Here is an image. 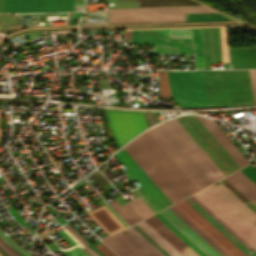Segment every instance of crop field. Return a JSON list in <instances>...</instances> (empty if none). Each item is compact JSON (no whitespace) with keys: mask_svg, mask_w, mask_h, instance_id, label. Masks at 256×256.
<instances>
[{"mask_svg":"<svg viewBox=\"0 0 256 256\" xmlns=\"http://www.w3.org/2000/svg\"><path fill=\"white\" fill-rule=\"evenodd\" d=\"M17 220L18 222L29 232L33 233V229L15 212L14 209L9 211Z\"/></svg>","mask_w":256,"mask_h":256,"instance_id":"crop-field-36","label":"crop field"},{"mask_svg":"<svg viewBox=\"0 0 256 256\" xmlns=\"http://www.w3.org/2000/svg\"><path fill=\"white\" fill-rule=\"evenodd\" d=\"M135 210L136 212L144 219L152 214H154L150 208L143 202V200L138 197L130 202H128Z\"/></svg>","mask_w":256,"mask_h":256,"instance_id":"crop-field-29","label":"crop field"},{"mask_svg":"<svg viewBox=\"0 0 256 256\" xmlns=\"http://www.w3.org/2000/svg\"><path fill=\"white\" fill-rule=\"evenodd\" d=\"M196 69H204L201 28H193Z\"/></svg>","mask_w":256,"mask_h":256,"instance_id":"crop-field-24","label":"crop field"},{"mask_svg":"<svg viewBox=\"0 0 256 256\" xmlns=\"http://www.w3.org/2000/svg\"><path fill=\"white\" fill-rule=\"evenodd\" d=\"M81 25L107 24L106 11L90 13L80 21Z\"/></svg>","mask_w":256,"mask_h":256,"instance_id":"crop-field-28","label":"crop field"},{"mask_svg":"<svg viewBox=\"0 0 256 256\" xmlns=\"http://www.w3.org/2000/svg\"><path fill=\"white\" fill-rule=\"evenodd\" d=\"M143 114L149 126L157 122L154 114H148V113H143Z\"/></svg>","mask_w":256,"mask_h":256,"instance_id":"crop-field-41","label":"crop field"},{"mask_svg":"<svg viewBox=\"0 0 256 256\" xmlns=\"http://www.w3.org/2000/svg\"><path fill=\"white\" fill-rule=\"evenodd\" d=\"M194 200L202 209H204L212 218H214L222 227H224L231 235H233L239 242H241L247 249H252L240 237H238L230 228H228L219 218H217L209 209H207L199 200L193 195L189 196Z\"/></svg>","mask_w":256,"mask_h":256,"instance_id":"crop-field-30","label":"crop field"},{"mask_svg":"<svg viewBox=\"0 0 256 256\" xmlns=\"http://www.w3.org/2000/svg\"><path fill=\"white\" fill-rule=\"evenodd\" d=\"M232 20L218 13L185 14V21Z\"/></svg>","mask_w":256,"mask_h":256,"instance_id":"crop-field-26","label":"crop field"},{"mask_svg":"<svg viewBox=\"0 0 256 256\" xmlns=\"http://www.w3.org/2000/svg\"><path fill=\"white\" fill-rule=\"evenodd\" d=\"M112 208L122 217V219L128 224L132 225L142 218L135 212V210L128 204L120 206L115 199L109 203Z\"/></svg>","mask_w":256,"mask_h":256,"instance_id":"crop-field-23","label":"crop field"},{"mask_svg":"<svg viewBox=\"0 0 256 256\" xmlns=\"http://www.w3.org/2000/svg\"><path fill=\"white\" fill-rule=\"evenodd\" d=\"M0 12H4V0H0Z\"/></svg>","mask_w":256,"mask_h":256,"instance_id":"crop-field-43","label":"crop field"},{"mask_svg":"<svg viewBox=\"0 0 256 256\" xmlns=\"http://www.w3.org/2000/svg\"><path fill=\"white\" fill-rule=\"evenodd\" d=\"M0 237L5 240L11 247L19 251L24 256H31V253L21 248L19 245H17L14 241H12L7 235H5L1 229H0Z\"/></svg>","mask_w":256,"mask_h":256,"instance_id":"crop-field-34","label":"crop field"},{"mask_svg":"<svg viewBox=\"0 0 256 256\" xmlns=\"http://www.w3.org/2000/svg\"><path fill=\"white\" fill-rule=\"evenodd\" d=\"M20 37H22L24 39V41L27 42L26 39L34 37V34L33 33H25V34H21V35L13 37L12 39L8 40L9 43L12 45V47L15 45H18V43L14 39L20 38Z\"/></svg>","mask_w":256,"mask_h":256,"instance_id":"crop-field-38","label":"crop field"},{"mask_svg":"<svg viewBox=\"0 0 256 256\" xmlns=\"http://www.w3.org/2000/svg\"><path fill=\"white\" fill-rule=\"evenodd\" d=\"M224 179L256 206V185L245 175L238 171Z\"/></svg>","mask_w":256,"mask_h":256,"instance_id":"crop-field-19","label":"crop field"},{"mask_svg":"<svg viewBox=\"0 0 256 256\" xmlns=\"http://www.w3.org/2000/svg\"><path fill=\"white\" fill-rule=\"evenodd\" d=\"M97 248L100 252H102L105 256H116L113 252H111L106 246H104L102 243L94 246Z\"/></svg>","mask_w":256,"mask_h":256,"instance_id":"crop-field-39","label":"crop field"},{"mask_svg":"<svg viewBox=\"0 0 256 256\" xmlns=\"http://www.w3.org/2000/svg\"><path fill=\"white\" fill-rule=\"evenodd\" d=\"M73 11V0H5V12Z\"/></svg>","mask_w":256,"mask_h":256,"instance_id":"crop-field-10","label":"crop field"},{"mask_svg":"<svg viewBox=\"0 0 256 256\" xmlns=\"http://www.w3.org/2000/svg\"><path fill=\"white\" fill-rule=\"evenodd\" d=\"M174 103L208 107L201 71H168Z\"/></svg>","mask_w":256,"mask_h":256,"instance_id":"crop-field-6","label":"crop field"},{"mask_svg":"<svg viewBox=\"0 0 256 256\" xmlns=\"http://www.w3.org/2000/svg\"><path fill=\"white\" fill-rule=\"evenodd\" d=\"M130 32H131V30H125L124 38H127V41H126V42H128V41H129V38H130ZM125 40H126V39H124V42H125Z\"/></svg>","mask_w":256,"mask_h":256,"instance_id":"crop-field-42","label":"crop field"},{"mask_svg":"<svg viewBox=\"0 0 256 256\" xmlns=\"http://www.w3.org/2000/svg\"><path fill=\"white\" fill-rule=\"evenodd\" d=\"M119 256H136L113 235L102 240Z\"/></svg>","mask_w":256,"mask_h":256,"instance_id":"crop-field-25","label":"crop field"},{"mask_svg":"<svg viewBox=\"0 0 256 256\" xmlns=\"http://www.w3.org/2000/svg\"><path fill=\"white\" fill-rule=\"evenodd\" d=\"M88 215L107 235L125 228L105 206L88 213Z\"/></svg>","mask_w":256,"mask_h":256,"instance_id":"crop-field-18","label":"crop field"},{"mask_svg":"<svg viewBox=\"0 0 256 256\" xmlns=\"http://www.w3.org/2000/svg\"><path fill=\"white\" fill-rule=\"evenodd\" d=\"M231 68H256V49L229 50Z\"/></svg>","mask_w":256,"mask_h":256,"instance_id":"crop-field-20","label":"crop field"},{"mask_svg":"<svg viewBox=\"0 0 256 256\" xmlns=\"http://www.w3.org/2000/svg\"><path fill=\"white\" fill-rule=\"evenodd\" d=\"M249 72H250L254 102L256 104V70H249Z\"/></svg>","mask_w":256,"mask_h":256,"instance_id":"crop-field-37","label":"crop field"},{"mask_svg":"<svg viewBox=\"0 0 256 256\" xmlns=\"http://www.w3.org/2000/svg\"><path fill=\"white\" fill-rule=\"evenodd\" d=\"M159 218L166 226H168L174 233H176L183 241H185L193 250H195L200 256H205L198 248H196L189 240H187L180 232H178L172 225H170L163 217L158 213L154 214Z\"/></svg>","mask_w":256,"mask_h":256,"instance_id":"crop-field-33","label":"crop field"},{"mask_svg":"<svg viewBox=\"0 0 256 256\" xmlns=\"http://www.w3.org/2000/svg\"><path fill=\"white\" fill-rule=\"evenodd\" d=\"M205 69L210 63H222L219 28H202Z\"/></svg>","mask_w":256,"mask_h":256,"instance_id":"crop-field-13","label":"crop field"},{"mask_svg":"<svg viewBox=\"0 0 256 256\" xmlns=\"http://www.w3.org/2000/svg\"><path fill=\"white\" fill-rule=\"evenodd\" d=\"M195 116L210 132V134L217 140V142L225 149V151L232 157V159L240 166V168L250 164L247 159L240 153V151L221 132V130L214 123V121L204 119L198 115Z\"/></svg>","mask_w":256,"mask_h":256,"instance_id":"crop-field-16","label":"crop field"},{"mask_svg":"<svg viewBox=\"0 0 256 256\" xmlns=\"http://www.w3.org/2000/svg\"><path fill=\"white\" fill-rule=\"evenodd\" d=\"M169 209L173 211L180 219H182L188 226H190L197 234H199L206 242H208L222 256H231L175 205L169 207Z\"/></svg>","mask_w":256,"mask_h":256,"instance_id":"crop-field-21","label":"crop field"},{"mask_svg":"<svg viewBox=\"0 0 256 256\" xmlns=\"http://www.w3.org/2000/svg\"><path fill=\"white\" fill-rule=\"evenodd\" d=\"M148 224V223H147ZM144 221L136 224L149 238H151L158 246H160L170 256H182L175 248H173L166 240L156 233Z\"/></svg>","mask_w":256,"mask_h":256,"instance_id":"crop-field-22","label":"crop field"},{"mask_svg":"<svg viewBox=\"0 0 256 256\" xmlns=\"http://www.w3.org/2000/svg\"><path fill=\"white\" fill-rule=\"evenodd\" d=\"M161 97H170V89L166 71L158 72Z\"/></svg>","mask_w":256,"mask_h":256,"instance_id":"crop-field-31","label":"crop field"},{"mask_svg":"<svg viewBox=\"0 0 256 256\" xmlns=\"http://www.w3.org/2000/svg\"><path fill=\"white\" fill-rule=\"evenodd\" d=\"M202 73L209 107L254 104L248 70Z\"/></svg>","mask_w":256,"mask_h":256,"instance_id":"crop-field-4","label":"crop field"},{"mask_svg":"<svg viewBox=\"0 0 256 256\" xmlns=\"http://www.w3.org/2000/svg\"><path fill=\"white\" fill-rule=\"evenodd\" d=\"M207 256H221L168 208L158 212Z\"/></svg>","mask_w":256,"mask_h":256,"instance_id":"crop-field-12","label":"crop field"},{"mask_svg":"<svg viewBox=\"0 0 256 256\" xmlns=\"http://www.w3.org/2000/svg\"><path fill=\"white\" fill-rule=\"evenodd\" d=\"M123 148L172 203L198 191L146 131Z\"/></svg>","mask_w":256,"mask_h":256,"instance_id":"crop-field-2","label":"crop field"},{"mask_svg":"<svg viewBox=\"0 0 256 256\" xmlns=\"http://www.w3.org/2000/svg\"><path fill=\"white\" fill-rule=\"evenodd\" d=\"M184 256H198L154 215L144 220Z\"/></svg>","mask_w":256,"mask_h":256,"instance_id":"crop-field-17","label":"crop field"},{"mask_svg":"<svg viewBox=\"0 0 256 256\" xmlns=\"http://www.w3.org/2000/svg\"><path fill=\"white\" fill-rule=\"evenodd\" d=\"M125 231L131 236L126 238L120 232L114 234V236L137 256H164L132 227L125 229Z\"/></svg>","mask_w":256,"mask_h":256,"instance_id":"crop-field-14","label":"crop field"},{"mask_svg":"<svg viewBox=\"0 0 256 256\" xmlns=\"http://www.w3.org/2000/svg\"><path fill=\"white\" fill-rule=\"evenodd\" d=\"M232 256H247L184 200L175 204Z\"/></svg>","mask_w":256,"mask_h":256,"instance_id":"crop-field-11","label":"crop field"},{"mask_svg":"<svg viewBox=\"0 0 256 256\" xmlns=\"http://www.w3.org/2000/svg\"><path fill=\"white\" fill-rule=\"evenodd\" d=\"M213 12L203 6L108 9L109 23L184 21V13Z\"/></svg>","mask_w":256,"mask_h":256,"instance_id":"crop-field-5","label":"crop field"},{"mask_svg":"<svg viewBox=\"0 0 256 256\" xmlns=\"http://www.w3.org/2000/svg\"><path fill=\"white\" fill-rule=\"evenodd\" d=\"M84 6H74L75 11L83 10Z\"/></svg>","mask_w":256,"mask_h":256,"instance_id":"crop-field-44","label":"crop field"},{"mask_svg":"<svg viewBox=\"0 0 256 256\" xmlns=\"http://www.w3.org/2000/svg\"><path fill=\"white\" fill-rule=\"evenodd\" d=\"M74 238H76L85 248H82L89 256H99L87 245H89L80 235H78L68 224L63 226Z\"/></svg>","mask_w":256,"mask_h":256,"instance_id":"crop-field-32","label":"crop field"},{"mask_svg":"<svg viewBox=\"0 0 256 256\" xmlns=\"http://www.w3.org/2000/svg\"><path fill=\"white\" fill-rule=\"evenodd\" d=\"M146 131L198 190L225 176L175 118Z\"/></svg>","mask_w":256,"mask_h":256,"instance_id":"crop-field-1","label":"crop field"},{"mask_svg":"<svg viewBox=\"0 0 256 256\" xmlns=\"http://www.w3.org/2000/svg\"><path fill=\"white\" fill-rule=\"evenodd\" d=\"M207 208L229 226L254 250L256 249V215L223 185L211 189L209 186L195 194Z\"/></svg>","mask_w":256,"mask_h":256,"instance_id":"crop-field-3","label":"crop field"},{"mask_svg":"<svg viewBox=\"0 0 256 256\" xmlns=\"http://www.w3.org/2000/svg\"><path fill=\"white\" fill-rule=\"evenodd\" d=\"M0 131H1V127H0Z\"/></svg>","mask_w":256,"mask_h":256,"instance_id":"crop-field-45","label":"crop field"},{"mask_svg":"<svg viewBox=\"0 0 256 256\" xmlns=\"http://www.w3.org/2000/svg\"><path fill=\"white\" fill-rule=\"evenodd\" d=\"M254 256H256V254Z\"/></svg>","mask_w":256,"mask_h":256,"instance_id":"crop-field-46","label":"crop field"},{"mask_svg":"<svg viewBox=\"0 0 256 256\" xmlns=\"http://www.w3.org/2000/svg\"><path fill=\"white\" fill-rule=\"evenodd\" d=\"M153 53H193L192 38L150 37Z\"/></svg>","mask_w":256,"mask_h":256,"instance_id":"crop-field-15","label":"crop field"},{"mask_svg":"<svg viewBox=\"0 0 256 256\" xmlns=\"http://www.w3.org/2000/svg\"><path fill=\"white\" fill-rule=\"evenodd\" d=\"M0 247L9 255V256H18L15 254L7 244L0 238Z\"/></svg>","mask_w":256,"mask_h":256,"instance_id":"crop-field-40","label":"crop field"},{"mask_svg":"<svg viewBox=\"0 0 256 256\" xmlns=\"http://www.w3.org/2000/svg\"><path fill=\"white\" fill-rule=\"evenodd\" d=\"M114 156L161 209L172 204L123 148L117 151Z\"/></svg>","mask_w":256,"mask_h":256,"instance_id":"crop-field-8","label":"crop field"},{"mask_svg":"<svg viewBox=\"0 0 256 256\" xmlns=\"http://www.w3.org/2000/svg\"><path fill=\"white\" fill-rule=\"evenodd\" d=\"M195 209H197L205 218H207L214 226H216L224 235H226L233 243H235L243 252H245L248 256L251 253L244 246H242L234 237H232L225 229H223L217 222H215L209 215H207L201 208H199L196 204L192 205Z\"/></svg>","mask_w":256,"mask_h":256,"instance_id":"crop-field-27","label":"crop field"},{"mask_svg":"<svg viewBox=\"0 0 256 256\" xmlns=\"http://www.w3.org/2000/svg\"><path fill=\"white\" fill-rule=\"evenodd\" d=\"M171 37H192L191 29H168Z\"/></svg>","mask_w":256,"mask_h":256,"instance_id":"crop-field-35","label":"crop field"},{"mask_svg":"<svg viewBox=\"0 0 256 256\" xmlns=\"http://www.w3.org/2000/svg\"><path fill=\"white\" fill-rule=\"evenodd\" d=\"M176 119L225 175L240 169L193 114L179 116Z\"/></svg>","mask_w":256,"mask_h":256,"instance_id":"crop-field-7","label":"crop field"},{"mask_svg":"<svg viewBox=\"0 0 256 256\" xmlns=\"http://www.w3.org/2000/svg\"><path fill=\"white\" fill-rule=\"evenodd\" d=\"M108 112L121 146L134 135L148 127L142 113L122 111Z\"/></svg>","mask_w":256,"mask_h":256,"instance_id":"crop-field-9","label":"crop field"}]
</instances>
